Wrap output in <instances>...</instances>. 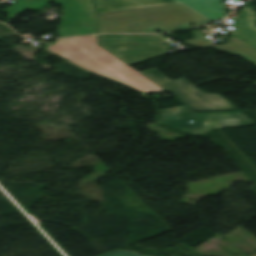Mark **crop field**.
<instances>
[{"label":"crop field","mask_w":256,"mask_h":256,"mask_svg":"<svg viewBox=\"0 0 256 256\" xmlns=\"http://www.w3.org/2000/svg\"><path fill=\"white\" fill-rule=\"evenodd\" d=\"M193 33L197 38L188 40L184 44H187L195 48H209L213 46L211 41L206 36H204L199 30L193 31Z\"/></svg>","instance_id":"obj_11"},{"label":"crop field","mask_w":256,"mask_h":256,"mask_svg":"<svg viewBox=\"0 0 256 256\" xmlns=\"http://www.w3.org/2000/svg\"><path fill=\"white\" fill-rule=\"evenodd\" d=\"M136 253L137 252H133V251L117 250L101 256H141V255H136Z\"/></svg>","instance_id":"obj_12"},{"label":"crop field","mask_w":256,"mask_h":256,"mask_svg":"<svg viewBox=\"0 0 256 256\" xmlns=\"http://www.w3.org/2000/svg\"><path fill=\"white\" fill-rule=\"evenodd\" d=\"M100 45L129 65H135L152 58L166 55L169 46L162 35H98Z\"/></svg>","instance_id":"obj_3"},{"label":"crop field","mask_w":256,"mask_h":256,"mask_svg":"<svg viewBox=\"0 0 256 256\" xmlns=\"http://www.w3.org/2000/svg\"><path fill=\"white\" fill-rule=\"evenodd\" d=\"M182 109H183V107L163 110V111H161L160 115L174 118Z\"/></svg>","instance_id":"obj_13"},{"label":"crop field","mask_w":256,"mask_h":256,"mask_svg":"<svg viewBox=\"0 0 256 256\" xmlns=\"http://www.w3.org/2000/svg\"><path fill=\"white\" fill-rule=\"evenodd\" d=\"M45 49L143 93L165 91L99 46L96 35L57 40Z\"/></svg>","instance_id":"obj_1"},{"label":"crop field","mask_w":256,"mask_h":256,"mask_svg":"<svg viewBox=\"0 0 256 256\" xmlns=\"http://www.w3.org/2000/svg\"><path fill=\"white\" fill-rule=\"evenodd\" d=\"M191 120L195 121L190 123ZM160 123L180 132L204 134L215 127L255 125L242 111L207 112L197 114L187 106L174 118L160 116Z\"/></svg>","instance_id":"obj_4"},{"label":"crop field","mask_w":256,"mask_h":256,"mask_svg":"<svg viewBox=\"0 0 256 256\" xmlns=\"http://www.w3.org/2000/svg\"><path fill=\"white\" fill-rule=\"evenodd\" d=\"M56 1L64 6V15L57 32L61 37L97 33L94 0H29Z\"/></svg>","instance_id":"obj_6"},{"label":"crop field","mask_w":256,"mask_h":256,"mask_svg":"<svg viewBox=\"0 0 256 256\" xmlns=\"http://www.w3.org/2000/svg\"><path fill=\"white\" fill-rule=\"evenodd\" d=\"M97 20L99 33H156L155 28L165 32L209 23L180 4L101 14Z\"/></svg>","instance_id":"obj_2"},{"label":"crop field","mask_w":256,"mask_h":256,"mask_svg":"<svg viewBox=\"0 0 256 256\" xmlns=\"http://www.w3.org/2000/svg\"><path fill=\"white\" fill-rule=\"evenodd\" d=\"M231 43L233 44L231 45ZM217 48L223 52L238 55L256 65V49L235 36L231 37L226 45Z\"/></svg>","instance_id":"obj_9"},{"label":"crop field","mask_w":256,"mask_h":256,"mask_svg":"<svg viewBox=\"0 0 256 256\" xmlns=\"http://www.w3.org/2000/svg\"><path fill=\"white\" fill-rule=\"evenodd\" d=\"M253 256H256V255H253Z\"/></svg>","instance_id":"obj_16"},{"label":"crop field","mask_w":256,"mask_h":256,"mask_svg":"<svg viewBox=\"0 0 256 256\" xmlns=\"http://www.w3.org/2000/svg\"><path fill=\"white\" fill-rule=\"evenodd\" d=\"M256 85V84H255Z\"/></svg>","instance_id":"obj_17"},{"label":"crop field","mask_w":256,"mask_h":256,"mask_svg":"<svg viewBox=\"0 0 256 256\" xmlns=\"http://www.w3.org/2000/svg\"><path fill=\"white\" fill-rule=\"evenodd\" d=\"M26 1H27V0H16V4L13 5V6H11V7L8 8V9H6L5 11L8 12V11L14 9L15 7L19 6L20 4H22V3L26 2Z\"/></svg>","instance_id":"obj_15"},{"label":"crop field","mask_w":256,"mask_h":256,"mask_svg":"<svg viewBox=\"0 0 256 256\" xmlns=\"http://www.w3.org/2000/svg\"><path fill=\"white\" fill-rule=\"evenodd\" d=\"M141 73L195 111L238 109L220 95L206 94L200 91L185 78L170 81L156 69Z\"/></svg>","instance_id":"obj_5"},{"label":"crop field","mask_w":256,"mask_h":256,"mask_svg":"<svg viewBox=\"0 0 256 256\" xmlns=\"http://www.w3.org/2000/svg\"><path fill=\"white\" fill-rule=\"evenodd\" d=\"M176 1L184 5L185 7L191 9L192 11L196 12L195 0H176Z\"/></svg>","instance_id":"obj_14"},{"label":"crop field","mask_w":256,"mask_h":256,"mask_svg":"<svg viewBox=\"0 0 256 256\" xmlns=\"http://www.w3.org/2000/svg\"><path fill=\"white\" fill-rule=\"evenodd\" d=\"M98 14L177 3L174 0H96Z\"/></svg>","instance_id":"obj_7"},{"label":"crop field","mask_w":256,"mask_h":256,"mask_svg":"<svg viewBox=\"0 0 256 256\" xmlns=\"http://www.w3.org/2000/svg\"><path fill=\"white\" fill-rule=\"evenodd\" d=\"M235 36L256 48V11L248 6L242 9L238 18L234 20Z\"/></svg>","instance_id":"obj_8"},{"label":"crop field","mask_w":256,"mask_h":256,"mask_svg":"<svg viewBox=\"0 0 256 256\" xmlns=\"http://www.w3.org/2000/svg\"><path fill=\"white\" fill-rule=\"evenodd\" d=\"M223 0H196L197 14L214 21L226 16Z\"/></svg>","instance_id":"obj_10"}]
</instances>
